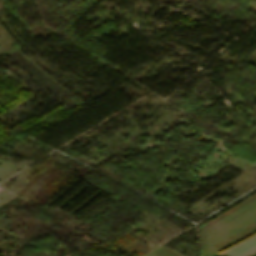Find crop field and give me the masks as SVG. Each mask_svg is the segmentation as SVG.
I'll list each match as a JSON object with an SVG mask.
<instances>
[{
  "instance_id": "1",
  "label": "crop field",
  "mask_w": 256,
  "mask_h": 256,
  "mask_svg": "<svg viewBox=\"0 0 256 256\" xmlns=\"http://www.w3.org/2000/svg\"><path fill=\"white\" fill-rule=\"evenodd\" d=\"M256 251V235L220 253L228 256H248Z\"/></svg>"
}]
</instances>
